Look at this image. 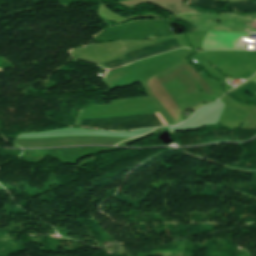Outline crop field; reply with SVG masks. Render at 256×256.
Returning <instances> with one entry per match:
<instances>
[{"label": "crop field", "mask_w": 256, "mask_h": 256, "mask_svg": "<svg viewBox=\"0 0 256 256\" xmlns=\"http://www.w3.org/2000/svg\"><path fill=\"white\" fill-rule=\"evenodd\" d=\"M174 14L184 12H198L197 9L190 8L189 5L184 4H156Z\"/></svg>", "instance_id": "34b2d1b8"}, {"label": "crop field", "mask_w": 256, "mask_h": 256, "mask_svg": "<svg viewBox=\"0 0 256 256\" xmlns=\"http://www.w3.org/2000/svg\"><path fill=\"white\" fill-rule=\"evenodd\" d=\"M180 47L176 38L168 40V41H164L152 46H148L136 51H132L129 53H126L125 56L117 58V59H113L109 62L103 63L106 66L112 68V67H116L122 64H126L144 57H148L151 55H155L158 53H162L168 50H172L175 48Z\"/></svg>", "instance_id": "ac0d7876"}, {"label": "crop field", "mask_w": 256, "mask_h": 256, "mask_svg": "<svg viewBox=\"0 0 256 256\" xmlns=\"http://www.w3.org/2000/svg\"><path fill=\"white\" fill-rule=\"evenodd\" d=\"M246 1L230 3L233 11L234 12H256V4H250Z\"/></svg>", "instance_id": "412701ff"}, {"label": "crop field", "mask_w": 256, "mask_h": 256, "mask_svg": "<svg viewBox=\"0 0 256 256\" xmlns=\"http://www.w3.org/2000/svg\"><path fill=\"white\" fill-rule=\"evenodd\" d=\"M158 124L162 121L158 113L154 114ZM153 114L146 115H126V116H116V117H106V118H96L85 120L84 126L89 127H99V128H135L144 127L150 125H156L157 122Z\"/></svg>", "instance_id": "8a807250"}, {"label": "crop field", "mask_w": 256, "mask_h": 256, "mask_svg": "<svg viewBox=\"0 0 256 256\" xmlns=\"http://www.w3.org/2000/svg\"><path fill=\"white\" fill-rule=\"evenodd\" d=\"M215 2L216 0H194L193 4L207 8H216Z\"/></svg>", "instance_id": "f4fd0767"}]
</instances>
